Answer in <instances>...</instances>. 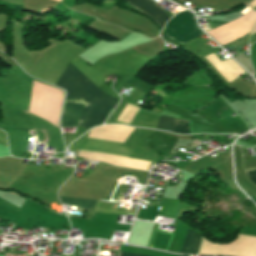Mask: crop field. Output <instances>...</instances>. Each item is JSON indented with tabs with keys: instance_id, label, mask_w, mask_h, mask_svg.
Masks as SVG:
<instances>
[{
	"instance_id": "8a807250",
	"label": "crop field",
	"mask_w": 256,
	"mask_h": 256,
	"mask_svg": "<svg viewBox=\"0 0 256 256\" xmlns=\"http://www.w3.org/2000/svg\"><path fill=\"white\" fill-rule=\"evenodd\" d=\"M57 86L66 90L65 102L86 104L78 124L82 127L92 128L102 124L119 101L103 94L70 63Z\"/></svg>"
},
{
	"instance_id": "ac0d7876",
	"label": "crop field",
	"mask_w": 256,
	"mask_h": 256,
	"mask_svg": "<svg viewBox=\"0 0 256 256\" xmlns=\"http://www.w3.org/2000/svg\"><path fill=\"white\" fill-rule=\"evenodd\" d=\"M164 33L167 37L180 45L203 34V32L196 27L193 14L188 11L180 12L169 21L164 29Z\"/></svg>"
},
{
	"instance_id": "34b2d1b8",
	"label": "crop field",
	"mask_w": 256,
	"mask_h": 256,
	"mask_svg": "<svg viewBox=\"0 0 256 256\" xmlns=\"http://www.w3.org/2000/svg\"><path fill=\"white\" fill-rule=\"evenodd\" d=\"M131 5L145 13L154 23H156L160 30L164 26L165 22L170 18L161 9L154 5L151 0H127Z\"/></svg>"
},
{
	"instance_id": "412701ff",
	"label": "crop field",
	"mask_w": 256,
	"mask_h": 256,
	"mask_svg": "<svg viewBox=\"0 0 256 256\" xmlns=\"http://www.w3.org/2000/svg\"><path fill=\"white\" fill-rule=\"evenodd\" d=\"M85 105L65 103L61 126H77Z\"/></svg>"
},
{
	"instance_id": "f4fd0767",
	"label": "crop field",
	"mask_w": 256,
	"mask_h": 256,
	"mask_svg": "<svg viewBox=\"0 0 256 256\" xmlns=\"http://www.w3.org/2000/svg\"><path fill=\"white\" fill-rule=\"evenodd\" d=\"M200 243H201L200 236H198L190 231H187L181 252L197 253Z\"/></svg>"
},
{
	"instance_id": "dd49c442",
	"label": "crop field",
	"mask_w": 256,
	"mask_h": 256,
	"mask_svg": "<svg viewBox=\"0 0 256 256\" xmlns=\"http://www.w3.org/2000/svg\"><path fill=\"white\" fill-rule=\"evenodd\" d=\"M60 201L64 204L80 207L88 211H93L96 201L92 200H82V199H73V198H63L60 197Z\"/></svg>"
},
{
	"instance_id": "e52e79f7",
	"label": "crop field",
	"mask_w": 256,
	"mask_h": 256,
	"mask_svg": "<svg viewBox=\"0 0 256 256\" xmlns=\"http://www.w3.org/2000/svg\"><path fill=\"white\" fill-rule=\"evenodd\" d=\"M157 129H163L174 133L173 119L160 116Z\"/></svg>"
},
{
	"instance_id": "d8731c3e",
	"label": "crop field",
	"mask_w": 256,
	"mask_h": 256,
	"mask_svg": "<svg viewBox=\"0 0 256 256\" xmlns=\"http://www.w3.org/2000/svg\"><path fill=\"white\" fill-rule=\"evenodd\" d=\"M175 133H190L188 120L175 119Z\"/></svg>"
},
{
	"instance_id": "5a996713",
	"label": "crop field",
	"mask_w": 256,
	"mask_h": 256,
	"mask_svg": "<svg viewBox=\"0 0 256 256\" xmlns=\"http://www.w3.org/2000/svg\"><path fill=\"white\" fill-rule=\"evenodd\" d=\"M255 169H256V168H254V169H249V170H244L246 177L249 176L248 171L255 170ZM249 173H250V176H249L248 178L256 184V170H255V171H251V172H249ZM253 182H252V183H253ZM254 183H253V184H254Z\"/></svg>"
},
{
	"instance_id": "3316defc",
	"label": "crop field",
	"mask_w": 256,
	"mask_h": 256,
	"mask_svg": "<svg viewBox=\"0 0 256 256\" xmlns=\"http://www.w3.org/2000/svg\"><path fill=\"white\" fill-rule=\"evenodd\" d=\"M120 256H139V255H134V254H128V253L120 252Z\"/></svg>"
},
{
	"instance_id": "28ad6ade",
	"label": "crop field",
	"mask_w": 256,
	"mask_h": 256,
	"mask_svg": "<svg viewBox=\"0 0 256 256\" xmlns=\"http://www.w3.org/2000/svg\"><path fill=\"white\" fill-rule=\"evenodd\" d=\"M55 126L59 127V126H58V121H57V123H56V125H55Z\"/></svg>"
}]
</instances>
